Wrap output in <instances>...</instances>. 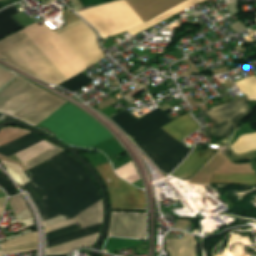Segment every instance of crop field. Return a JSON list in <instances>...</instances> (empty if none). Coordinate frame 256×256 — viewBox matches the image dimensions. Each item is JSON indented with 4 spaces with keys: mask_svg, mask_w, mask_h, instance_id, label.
<instances>
[{
    "mask_svg": "<svg viewBox=\"0 0 256 256\" xmlns=\"http://www.w3.org/2000/svg\"><path fill=\"white\" fill-rule=\"evenodd\" d=\"M170 112H172L170 108L163 112L157 108L136 119L132 114L125 110L110 119L136 143L170 122L172 119L166 115Z\"/></svg>",
    "mask_w": 256,
    "mask_h": 256,
    "instance_id": "6",
    "label": "crop field"
},
{
    "mask_svg": "<svg viewBox=\"0 0 256 256\" xmlns=\"http://www.w3.org/2000/svg\"><path fill=\"white\" fill-rule=\"evenodd\" d=\"M159 107L162 108L163 110L169 108V106H168L167 103H165V104H163V105H161V106H159Z\"/></svg>",
    "mask_w": 256,
    "mask_h": 256,
    "instance_id": "33",
    "label": "crop field"
},
{
    "mask_svg": "<svg viewBox=\"0 0 256 256\" xmlns=\"http://www.w3.org/2000/svg\"><path fill=\"white\" fill-rule=\"evenodd\" d=\"M42 137L30 132L10 143L0 146V154L9 157L13 154L21 152L41 141H43Z\"/></svg>",
    "mask_w": 256,
    "mask_h": 256,
    "instance_id": "11",
    "label": "crop field"
},
{
    "mask_svg": "<svg viewBox=\"0 0 256 256\" xmlns=\"http://www.w3.org/2000/svg\"><path fill=\"white\" fill-rule=\"evenodd\" d=\"M110 236L146 238V213L113 212Z\"/></svg>",
    "mask_w": 256,
    "mask_h": 256,
    "instance_id": "7",
    "label": "crop field"
},
{
    "mask_svg": "<svg viewBox=\"0 0 256 256\" xmlns=\"http://www.w3.org/2000/svg\"><path fill=\"white\" fill-rule=\"evenodd\" d=\"M78 229H81V227L78 223L67 226V227H64L62 229L47 233L46 234V240L50 239V238H53V237H56V236H59V235H62V234H66V233L78 230Z\"/></svg>",
    "mask_w": 256,
    "mask_h": 256,
    "instance_id": "25",
    "label": "crop field"
},
{
    "mask_svg": "<svg viewBox=\"0 0 256 256\" xmlns=\"http://www.w3.org/2000/svg\"><path fill=\"white\" fill-rule=\"evenodd\" d=\"M170 80H172V79L170 78V79L164 81L163 83L168 82V81H170ZM150 83H151V82H150ZM152 88H154V86H153V84L151 83V87H150L148 90H150V89H152ZM165 89H167V87L163 84V85H161V86H159V87H157V88H155V89L149 91L148 93H149L151 96H153V95H155V94H157V93H159V92H161V91H163V90H165Z\"/></svg>",
    "mask_w": 256,
    "mask_h": 256,
    "instance_id": "29",
    "label": "crop field"
},
{
    "mask_svg": "<svg viewBox=\"0 0 256 256\" xmlns=\"http://www.w3.org/2000/svg\"><path fill=\"white\" fill-rule=\"evenodd\" d=\"M197 247L194 236L186 233L184 239L165 240V248L170 256H196Z\"/></svg>",
    "mask_w": 256,
    "mask_h": 256,
    "instance_id": "10",
    "label": "crop field"
},
{
    "mask_svg": "<svg viewBox=\"0 0 256 256\" xmlns=\"http://www.w3.org/2000/svg\"><path fill=\"white\" fill-rule=\"evenodd\" d=\"M73 223H76L75 221L69 219L67 221H64V222H61V223H58V224H55V225H52V226H49V227H46L45 228V231L46 233L49 232V231H52V230H55L57 228H60V227H63V226H66V225H69V224H73Z\"/></svg>",
    "mask_w": 256,
    "mask_h": 256,
    "instance_id": "27",
    "label": "crop field"
},
{
    "mask_svg": "<svg viewBox=\"0 0 256 256\" xmlns=\"http://www.w3.org/2000/svg\"><path fill=\"white\" fill-rule=\"evenodd\" d=\"M67 103L30 83L17 96L7 102L0 109V112L35 126ZM79 110L69 103L41 122L40 125L55 131L52 133L54 135ZM54 136L65 143L80 147H90L113 137L102 125L81 110Z\"/></svg>",
    "mask_w": 256,
    "mask_h": 256,
    "instance_id": "1",
    "label": "crop field"
},
{
    "mask_svg": "<svg viewBox=\"0 0 256 256\" xmlns=\"http://www.w3.org/2000/svg\"><path fill=\"white\" fill-rule=\"evenodd\" d=\"M98 235L99 233L47 248L46 255L68 253L72 249L82 246L92 247Z\"/></svg>",
    "mask_w": 256,
    "mask_h": 256,
    "instance_id": "13",
    "label": "crop field"
},
{
    "mask_svg": "<svg viewBox=\"0 0 256 256\" xmlns=\"http://www.w3.org/2000/svg\"><path fill=\"white\" fill-rule=\"evenodd\" d=\"M0 187L2 188V187H4V189L3 190H5L7 193H8V195L11 193V192H13V191H11L10 189H8V188H6L5 186H3L1 183H0Z\"/></svg>",
    "mask_w": 256,
    "mask_h": 256,
    "instance_id": "32",
    "label": "crop field"
},
{
    "mask_svg": "<svg viewBox=\"0 0 256 256\" xmlns=\"http://www.w3.org/2000/svg\"><path fill=\"white\" fill-rule=\"evenodd\" d=\"M37 231L34 232H30L28 234H25L23 236H20L16 239H13L11 241H8L6 243L1 244L0 246L2 247V249L5 248H10V247H14V246H19V245H23V244H28V243H33V242H37Z\"/></svg>",
    "mask_w": 256,
    "mask_h": 256,
    "instance_id": "20",
    "label": "crop field"
},
{
    "mask_svg": "<svg viewBox=\"0 0 256 256\" xmlns=\"http://www.w3.org/2000/svg\"><path fill=\"white\" fill-rule=\"evenodd\" d=\"M15 75L0 68V87L10 81Z\"/></svg>",
    "mask_w": 256,
    "mask_h": 256,
    "instance_id": "26",
    "label": "crop field"
},
{
    "mask_svg": "<svg viewBox=\"0 0 256 256\" xmlns=\"http://www.w3.org/2000/svg\"><path fill=\"white\" fill-rule=\"evenodd\" d=\"M115 171H116L117 175H119L121 178H123L131 183L140 179L132 162L126 164L125 166H123Z\"/></svg>",
    "mask_w": 256,
    "mask_h": 256,
    "instance_id": "22",
    "label": "crop field"
},
{
    "mask_svg": "<svg viewBox=\"0 0 256 256\" xmlns=\"http://www.w3.org/2000/svg\"><path fill=\"white\" fill-rule=\"evenodd\" d=\"M97 170L107 184L112 210L146 209L144 192L117 177L109 162Z\"/></svg>",
    "mask_w": 256,
    "mask_h": 256,
    "instance_id": "4",
    "label": "crop field"
},
{
    "mask_svg": "<svg viewBox=\"0 0 256 256\" xmlns=\"http://www.w3.org/2000/svg\"><path fill=\"white\" fill-rule=\"evenodd\" d=\"M43 201L89 208L99 201V191L84 167L71 155L33 174L28 183ZM40 202L42 221L62 215L73 218L84 208Z\"/></svg>",
    "mask_w": 256,
    "mask_h": 256,
    "instance_id": "2",
    "label": "crop field"
},
{
    "mask_svg": "<svg viewBox=\"0 0 256 256\" xmlns=\"http://www.w3.org/2000/svg\"><path fill=\"white\" fill-rule=\"evenodd\" d=\"M52 143L45 140L21 153L16 154V156L19 158V160L23 163L27 161L28 159L32 158L33 156L39 154L40 152L46 150L47 148L51 147Z\"/></svg>",
    "mask_w": 256,
    "mask_h": 256,
    "instance_id": "17",
    "label": "crop field"
},
{
    "mask_svg": "<svg viewBox=\"0 0 256 256\" xmlns=\"http://www.w3.org/2000/svg\"><path fill=\"white\" fill-rule=\"evenodd\" d=\"M199 127L187 113L162 128L182 142L183 137L198 130ZM162 128L136 144L161 171L169 174L183 161L191 149L185 147Z\"/></svg>",
    "mask_w": 256,
    "mask_h": 256,
    "instance_id": "3",
    "label": "crop field"
},
{
    "mask_svg": "<svg viewBox=\"0 0 256 256\" xmlns=\"http://www.w3.org/2000/svg\"><path fill=\"white\" fill-rule=\"evenodd\" d=\"M7 171L13 176L15 181L21 186L27 182H29L28 178L26 177L25 173L22 171L21 167L14 165L9 162L1 161ZM11 176V177H12Z\"/></svg>",
    "mask_w": 256,
    "mask_h": 256,
    "instance_id": "21",
    "label": "crop field"
},
{
    "mask_svg": "<svg viewBox=\"0 0 256 256\" xmlns=\"http://www.w3.org/2000/svg\"><path fill=\"white\" fill-rule=\"evenodd\" d=\"M0 256H1V251H0Z\"/></svg>",
    "mask_w": 256,
    "mask_h": 256,
    "instance_id": "37",
    "label": "crop field"
},
{
    "mask_svg": "<svg viewBox=\"0 0 256 256\" xmlns=\"http://www.w3.org/2000/svg\"><path fill=\"white\" fill-rule=\"evenodd\" d=\"M33 250H36V248L22 249V250H16V251H11V252H6V253H4V255L13 254V253H19V252H25V251H33Z\"/></svg>",
    "mask_w": 256,
    "mask_h": 256,
    "instance_id": "31",
    "label": "crop field"
},
{
    "mask_svg": "<svg viewBox=\"0 0 256 256\" xmlns=\"http://www.w3.org/2000/svg\"><path fill=\"white\" fill-rule=\"evenodd\" d=\"M102 217V204L101 201L97 202L95 205L84 211L83 213L79 214L73 220L77 221L82 228L100 224ZM101 229V224L84 228L66 235H62L50 240L46 241V248L50 246H54L66 241H70L79 237H83L89 234H93L99 232Z\"/></svg>",
    "mask_w": 256,
    "mask_h": 256,
    "instance_id": "8",
    "label": "crop field"
},
{
    "mask_svg": "<svg viewBox=\"0 0 256 256\" xmlns=\"http://www.w3.org/2000/svg\"><path fill=\"white\" fill-rule=\"evenodd\" d=\"M52 256H66V254H62V255H52Z\"/></svg>",
    "mask_w": 256,
    "mask_h": 256,
    "instance_id": "34",
    "label": "crop field"
},
{
    "mask_svg": "<svg viewBox=\"0 0 256 256\" xmlns=\"http://www.w3.org/2000/svg\"><path fill=\"white\" fill-rule=\"evenodd\" d=\"M217 151L207 149L203 154L193 150L189 157L172 174L177 178L188 179L201 168Z\"/></svg>",
    "mask_w": 256,
    "mask_h": 256,
    "instance_id": "9",
    "label": "crop field"
},
{
    "mask_svg": "<svg viewBox=\"0 0 256 256\" xmlns=\"http://www.w3.org/2000/svg\"><path fill=\"white\" fill-rule=\"evenodd\" d=\"M92 81L93 79L80 73L74 76L73 78L65 81L64 83L60 84L59 86H62L63 88L73 92Z\"/></svg>",
    "mask_w": 256,
    "mask_h": 256,
    "instance_id": "18",
    "label": "crop field"
},
{
    "mask_svg": "<svg viewBox=\"0 0 256 256\" xmlns=\"http://www.w3.org/2000/svg\"><path fill=\"white\" fill-rule=\"evenodd\" d=\"M210 183H234V184L256 185V174L213 175Z\"/></svg>",
    "mask_w": 256,
    "mask_h": 256,
    "instance_id": "15",
    "label": "crop field"
},
{
    "mask_svg": "<svg viewBox=\"0 0 256 256\" xmlns=\"http://www.w3.org/2000/svg\"><path fill=\"white\" fill-rule=\"evenodd\" d=\"M4 207L0 208V215L2 214V210H3Z\"/></svg>",
    "mask_w": 256,
    "mask_h": 256,
    "instance_id": "35",
    "label": "crop field"
},
{
    "mask_svg": "<svg viewBox=\"0 0 256 256\" xmlns=\"http://www.w3.org/2000/svg\"><path fill=\"white\" fill-rule=\"evenodd\" d=\"M9 204L14 211V215H17L19 212L27 207L21 195L10 198Z\"/></svg>",
    "mask_w": 256,
    "mask_h": 256,
    "instance_id": "24",
    "label": "crop field"
},
{
    "mask_svg": "<svg viewBox=\"0 0 256 256\" xmlns=\"http://www.w3.org/2000/svg\"><path fill=\"white\" fill-rule=\"evenodd\" d=\"M67 155H69V154L64 151V152H62V153H60V154H58V155H56V156H54V157H52V158L46 160V161H44L43 163H41V164L35 166L34 168H32V169H30V170H28V171H29L31 174H33V173H35V172H37V171H39V170H41V169H43V168L49 166L50 164H52V163H54V162L60 160L61 158L65 157V156H67ZM28 171L25 172V173H26V174L28 175V177L30 178V174H29Z\"/></svg>",
    "mask_w": 256,
    "mask_h": 256,
    "instance_id": "23",
    "label": "crop field"
},
{
    "mask_svg": "<svg viewBox=\"0 0 256 256\" xmlns=\"http://www.w3.org/2000/svg\"><path fill=\"white\" fill-rule=\"evenodd\" d=\"M18 13L15 5L0 11V37L22 26L12 17Z\"/></svg>",
    "mask_w": 256,
    "mask_h": 256,
    "instance_id": "14",
    "label": "crop field"
},
{
    "mask_svg": "<svg viewBox=\"0 0 256 256\" xmlns=\"http://www.w3.org/2000/svg\"><path fill=\"white\" fill-rule=\"evenodd\" d=\"M23 188L30 194V197L33 200L34 204L41 201L38 194L33 191L27 184Z\"/></svg>",
    "mask_w": 256,
    "mask_h": 256,
    "instance_id": "28",
    "label": "crop field"
},
{
    "mask_svg": "<svg viewBox=\"0 0 256 256\" xmlns=\"http://www.w3.org/2000/svg\"><path fill=\"white\" fill-rule=\"evenodd\" d=\"M0 182L5 185L6 187L10 188L11 190H13L14 192L11 193L9 196L13 195V194H17V191L15 189V187L4 177L3 174H0Z\"/></svg>",
    "mask_w": 256,
    "mask_h": 256,
    "instance_id": "30",
    "label": "crop field"
},
{
    "mask_svg": "<svg viewBox=\"0 0 256 256\" xmlns=\"http://www.w3.org/2000/svg\"><path fill=\"white\" fill-rule=\"evenodd\" d=\"M1 196H5V193H3V194H0V197H1Z\"/></svg>",
    "mask_w": 256,
    "mask_h": 256,
    "instance_id": "36",
    "label": "crop field"
},
{
    "mask_svg": "<svg viewBox=\"0 0 256 256\" xmlns=\"http://www.w3.org/2000/svg\"><path fill=\"white\" fill-rule=\"evenodd\" d=\"M236 85L239 90H242L248 95L249 100H256V76L238 81Z\"/></svg>",
    "mask_w": 256,
    "mask_h": 256,
    "instance_id": "19",
    "label": "crop field"
},
{
    "mask_svg": "<svg viewBox=\"0 0 256 256\" xmlns=\"http://www.w3.org/2000/svg\"><path fill=\"white\" fill-rule=\"evenodd\" d=\"M28 82L20 77L14 78L9 82L7 86L0 90V107H2L7 101H9L14 95H16L21 89H23Z\"/></svg>",
    "mask_w": 256,
    "mask_h": 256,
    "instance_id": "16",
    "label": "crop field"
},
{
    "mask_svg": "<svg viewBox=\"0 0 256 256\" xmlns=\"http://www.w3.org/2000/svg\"><path fill=\"white\" fill-rule=\"evenodd\" d=\"M202 1H205V0H187V1L181 3V4L177 5V6L169 9L168 11H166V12L156 16L155 18H153V19H151V20H149V21L139 25L138 27H135V28L127 31V32L131 36H133V35L141 32V31H143V30H145V29H147V28H149V27H151V26H153V25H155V24H157V23H159V22H161V21H163V20H165V19H167V18H169V17H171V16H173V15L183 11V10H185L186 8L196 4L198 2H202Z\"/></svg>",
    "mask_w": 256,
    "mask_h": 256,
    "instance_id": "12",
    "label": "crop field"
},
{
    "mask_svg": "<svg viewBox=\"0 0 256 256\" xmlns=\"http://www.w3.org/2000/svg\"><path fill=\"white\" fill-rule=\"evenodd\" d=\"M252 111L249 109L247 97L203 110V113L216 125L206 133L230 138L238 122Z\"/></svg>",
    "mask_w": 256,
    "mask_h": 256,
    "instance_id": "5",
    "label": "crop field"
}]
</instances>
